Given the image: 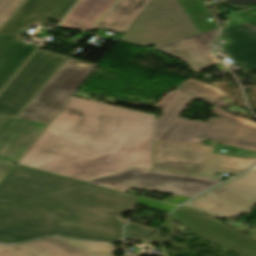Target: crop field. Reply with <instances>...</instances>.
<instances>
[{"label": "crop field", "instance_id": "crop-field-1", "mask_svg": "<svg viewBox=\"0 0 256 256\" xmlns=\"http://www.w3.org/2000/svg\"><path fill=\"white\" fill-rule=\"evenodd\" d=\"M155 118L72 96L17 164L89 181L152 170Z\"/></svg>", "mask_w": 256, "mask_h": 256}, {"label": "crop field", "instance_id": "crop-field-2", "mask_svg": "<svg viewBox=\"0 0 256 256\" xmlns=\"http://www.w3.org/2000/svg\"><path fill=\"white\" fill-rule=\"evenodd\" d=\"M137 197L15 166L0 185V241L59 235L119 241Z\"/></svg>", "mask_w": 256, "mask_h": 256}, {"label": "crop field", "instance_id": "crop-field-3", "mask_svg": "<svg viewBox=\"0 0 256 256\" xmlns=\"http://www.w3.org/2000/svg\"><path fill=\"white\" fill-rule=\"evenodd\" d=\"M96 66L69 58L17 118L0 115V159L16 164Z\"/></svg>", "mask_w": 256, "mask_h": 256}, {"label": "crop field", "instance_id": "crop-field-4", "mask_svg": "<svg viewBox=\"0 0 256 256\" xmlns=\"http://www.w3.org/2000/svg\"><path fill=\"white\" fill-rule=\"evenodd\" d=\"M193 100L173 90L157 103L163 114L156 121L155 139L188 143L205 139L256 150V122L231 116L217 106L210 111L221 119L209 118L207 123L177 119Z\"/></svg>", "mask_w": 256, "mask_h": 256}, {"label": "crop field", "instance_id": "crop-field-5", "mask_svg": "<svg viewBox=\"0 0 256 256\" xmlns=\"http://www.w3.org/2000/svg\"><path fill=\"white\" fill-rule=\"evenodd\" d=\"M36 47L0 36V114L15 117L66 58Z\"/></svg>", "mask_w": 256, "mask_h": 256}, {"label": "crop field", "instance_id": "crop-field-6", "mask_svg": "<svg viewBox=\"0 0 256 256\" xmlns=\"http://www.w3.org/2000/svg\"><path fill=\"white\" fill-rule=\"evenodd\" d=\"M215 147L156 140L154 170L215 179L218 172L239 174L256 159L212 154Z\"/></svg>", "mask_w": 256, "mask_h": 256}, {"label": "crop field", "instance_id": "crop-field-7", "mask_svg": "<svg viewBox=\"0 0 256 256\" xmlns=\"http://www.w3.org/2000/svg\"><path fill=\"white\" fill-rule=\"evenodd\" d=\"M198 33L178 0H152L119 41L147 47Z\"/></svg>", "mask_w": 256, "mask_h": 256}, {"label": "crop field", "instance_id": "crop-field-8", "mask_svg": "<svg viewBox=\"0 0 256 256\" xmlns=\"http://www.w3.org/2000/svg\"><path fill=\"white\" fill-rule=\"evenodd\" d=\"M218 218H235L256 205V166L184 204Z\"/></svg>", "mask_w": 256, "mask_h": 256}, {"label": "crop field", "instance_id": "crop-field-9", "mask_svg": "<svg viewBox=\"0 0 256 256\" xmlns=\"http://www.w3.org/2000/svg\"><path fill=\"white\" fill-rule=\"evenodd\" d=\"M116 185L192 197L221 181L133 168L116 175Z\"/></svg>", "mask_w": 256, "mask_h": 256}, {"label": "crop field", "instance_id": "crop-field-10", "mask_svg": "<svg viewBox=\"0 0 256 256\" xmlns=\"http://www.w3.org/2000/svg\"><path fill=\"white\" fill-rule=\"evenodd\" d=\"M171 217L197 235L225 246L243 256H256V240L224 226L207 215L187 207H181Z\"/></svg>", "mask_w": 256, "mask_h": 256}, {"label": "crop field", "instance_id": "crop-field-11", "mask_svg": "<svg viewBox=\"0 0 256 256\" xmlns=\"http://www.w3.org/2000/svg\"><path fill=\"white\" fill-rule=\"evenodd\" d=\"M112 243L47 238L21 245L0 244V256H113Z\"/></svg>", "mask_w": 256, "mask_h": 256}, {"label": "crop field", "instance_id": "crop-field-12", "mask_svg": "<svg viewBox=\"0 0 256 256\" xmlns=\"http://www.w3.org/2000/svg\"><path fill=\"white\" fill-rule=\"evenodd\" d=\"M233 24L222 28L219 37L230 40L224 50L246 72L256 70V9L226 17ZM228 55V56H229Z\"/></svg>", "mask_w": 256, "mask_h": 256}, {"label": "crop field", "instance_id": "crop-field-13", "mask_svg": "<svg viewBox=\"0 0 256 256\" xmlns=\"http://www.w3.org/2000/svg\"><path fill=\"white\" fill-rule=\"evenodd\" d=\"M76 1L25 0L0 29V35L19 38L20 32L28 29L32 23L43 24L48 19L60 21Z\"/></svg>", "mask_w": 256, "mask_h": 256}, {"label": "crop field", "instance_id": "crop-field-14", "mask_svg": "<svg viewBox=\"0 0 256 256\" xmlns=\"http://www.w3.org/2000/svg\"><path fill=\"white\" fill-rule=\"evenodd\" d=\"M217 34L218 30L202 32L199 35L156 45V48L191 64L196 72H200L219 62L209 48Z\"/></svg>", "mask_w": 256, "mask_h": 256}, {"label": "crop field", "instance_id": "crop-field-15", "mask_svg": "<svg viewBox=\"0 0 256 256\" xmlns=\"http://www.w3.org/2000/svg\"><path fill=\"white\" fill-rule=\"evenodd\" d=\"M115 0H81L59 27L89 32Z\"/></svg>", "mask_w": 256, "mask_h": 256}, {"label": "crop field", "instance_id": "crop-field-16", "mask_svg": "<svg viewBox=\"0 0 256 256\" xmlns=\"http://www.w3.org/2000/svg\"><path fill=\"white\" fill-rule=\"evenodd\" d=\"M150 1L151 0H119L94 30L109 29L111 31L125 33Z\"/></svg>", "mask_w": 256, "mask_h": 256}, {"label": "crop field", "instance_id": "crop-field-17", "mask_svg": "<svg viewBox=\"0 0 256 256\" xmlns=\"http://www.w3.org/2000/svg\"><path fill=\"white\" fill-rule=\"evenodd\" d=\"M192 22L199 32L216 29L214 21L209 22L206 17H210L202 0H179Z\"/></svg>", "mask_w": 256, "mask_h": 256}, {"label": "crop field", "instance_id": "crop-field-18", "mask_svg": "<svg viewBox=\"0 0 256 256\" xmlns=\"http://www.w3.org/2000/svg\"><path fill=\"white\" fill-rule=\"evenodd\" d=\"M175 90L185 93L194 98L203 100L209 104H213L221 97L226 96V94H224L219 89L207 86L197 81H188L187 83L176 88Z\"/></svg>", "mask_w": 256, "mask_h": 256}, {"label": "crop field", "instance_id": "crop-field-19", "mask_svg": "<svg viewBox=\"0 0 256 256\" xmlns=\"http://www.w3.org/2000/svg\"><path fill=\"white\" fill-rule=\"evenodd\" d=\"M153 230L135 223H128L125 239L168 242L169 238L151 236Z\"/></svg>", "mask_w": 256, "mask_h": 256}, {"label": "crop field", "instance_id": "crop-field-20", "mask_svg": "<svg viewBox=\"0 0 256 256\" xmlns=\"http://www.w3.org/2000/svg\"><path fill=\"white\" fill-rule=\"evenodd\" d=\"M24 0H0V28Z\"/></svg>", "mask_w": 256, "mask_h": 256}, {"label": "crop field", "instance_id": "crop-field-21", "mask_svg": "<svg viewBox=\"0 0 256 256\" xmlns=\"http://www.w3.org/2000/svg\"><path fill=\"white\" fill-rule=\"evenodd\" d=\"M114 178H115V175L105 177V178H101V179H97V180H93V181H89L87 183H91V184H94V185H98V186H101V187H105V188H109V189H113V190H117V191H121V192L126 191V190L121 189V188H119L115 185Z\"/></svg>", "mask_w": 256, "mask_h": 256}, {"label": "crop field", "instance_id": "crop-field-22", "mask_svg": "<svg viewBox=\"0 0 256 256\" xmlns=\"http://www.w3.org/2000/svg\"><path fill=\"white\" fill-rule=\"evenodd\" d=\"M218 150L219 149L216 148L214 153H216V154H223V155H229V156L242 157V158H256V152L241 150L239 155H236V154L220 153V152H218Z\"/></svg>", "mask_w": 256, "mask_h": 256}, {"label": "crop field", "instance_id": "crop-field-23", "mask_svg": "<svg viewBox=\"0 0 256 256\" xmlns=\"http://www.w3.org/2000/svg\"><path fill=\"white\" fill-rule=\"evenodd\" d=\"M13 167L12 163L0 161V182Z\"/></svg>", "mask_w": 256, "mask_h": 256}]
</instances>
